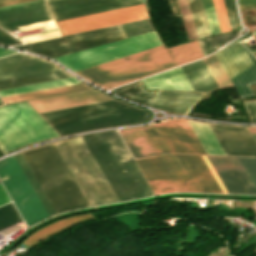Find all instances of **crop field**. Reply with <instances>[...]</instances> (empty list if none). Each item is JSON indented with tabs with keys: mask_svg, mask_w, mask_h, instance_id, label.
Wrapping results in <instances>:
<instances>
[{
	"mask_svg": "<svg viewBox=\"0 0 256 256\" xmlns=\"http://www.w3.org/2000/svg\"><path fill=\"white\" fill-rule=\"evenodd\" d=\"M201 57L197 41L167 49L161 45L76 73L111 88Z\"/></svg>",
	"mask_w": 256,
	"mask_h": 256,
	"instance_id": "obj_1",
	"label": "crop field"
},
{
	"mask_svg": "<svg viewBox=\"0 0 256 256\" xmlns=\"http://www.w3.org/2000/svg\"><path fill=\"white\" fill-rule=\"evenodd\" d=\"M112 100L111 98L93 90H84L28 101L38 112L85 105L95 102ZM140 110L128 104L112 100L58 111L41 113L40 115L51 125H60L118 113Z\"/></svg>",
	"mask_w": 256,
	"mask_h": 256,
	"instance_id": "obj_2",
	"label": "crop field"
},
{
	"mask_svg": "<svg viewBox=\"0 0 256 256\" xmlns=\"http://www.w3.org/2000/svg\"><path fill=\"white\" fill-rule=\"evenodd\" d=\"M54 146L89 206L118 201L81 137Z\"/></svg>",
	"mask_w": 256,
	"mask_h": 256,
	"instance_id": "obj_3",
	"label": "crop field"
},
{
	"mask_svg": "<svg viewBox=\"0 0 256 256\" xmlns=\"http://www.w3.org/2000/svg\"><path fill=\"white\" fill-rule=\"evenodd\" d=\"M57 136L27 103L0 109V149L4 153Z\"/></svg>",
	"mask_w": 256,
	"mask_h": 256,
	"instance_id": "obj_4",
	"label": "crop field"
},
{
	"mask_svg": "<svg viewBox=\"0 0 256 256\" xmlns=\"http://www.w3.org/2000/svg\"><path fill=\"white\" fill-rule=\"evenodd\" d=\"M158 45L161 42L153 31L53 59L76 72Z\"/></svg>",
	"mask_w": 256,
	"mask_h": 256,
	"instance_id": "obj_5",
	"label": "crop field"
},
{
	"mask_svg": "<svg viewBox=\"0 0 256 256\" xmlns=\"http://www.w3.org/2000/svg\"><path fill=\"white\" fill-rule=\"evenodd\" d=\"M132 199L153 195L150 185L117 131L95 134Z\"/></svg>",
	"mask_w": 256,
	"mask_h": 256,
	"instance_id": "obj_6",
	"label": "crop field"
},
{
	"mask_svg": "<svg viewBox=\"0 0 256 256\" xmlns=\"http://www.w3.org/2000/svg\"><path fill=\"white\" fill-rule=\"evenodd\" d=\"M0 179L27 226L49 217L13 156L0 160Z\"/></svg>",
	"mask_w": 256,
	"mask_h": 256,
	"instance_id": "obj_7",
	"label": "crop field"
},
{
	"mask_svg": "<svg viewBox=\"0 0 256 256\" xmlns=\"http://www.w3.org/2000/svg\"><path fill=\"white\" fill-rule=\"evenodd\" d=\"M126 38L120 25L15 46L51 58Z\"/></svg>",
	"mask_w": 256,
	"mask_h": 256,
	"instance_id": "obj_8",
	"label": "crop field"
},
{
	"mask_svg": "<svg viewBox=\"0 0 256 256\" xmlns=\"http://www.w3.org/2000/svg\"><path fill=\"white\" fill-rule=\"evenodd\" d=\"M207 158L228 193L256 194V157Z\"/></svg>",
	"mask_w": 256,
	"mask_h": 256,
	"instance_id": "obj_9",
	"label": "crop field"
},
{
	"mask_svg": "<svg viewBox=\"0 0 256 256\" xmlns=\"http://www.w3.org/2000/svg\"><path fill=\"white\" fill-rule=\"evenodd\" d=\"M241 98L254 96L249 85L256 84V60L237 42L214 53Z\"/></svg>",
	"mask_w": 256,
	"mask_h": 256,
	"instance_id": "obj_10",
	"label": "crop field"
},
{
	"mask_svg": "<svg viewBox=\"0 0 256 256\" xmlns=\"http://www.w3.org/2000/svg\"><path fill=\"white\" fill-rule=\"evenodd\" d=\"M147 18L144 4L58 21L61 35Z\"/></svg>",
	"mask_w": 256,
	"mask_h": 256,
	"instance_id": "obj_11",
	"label": "crop field"
},
{
	"mask_svg": "<svg viewBox=\"0 0 256 256\" xmlns=\"http://www.w3.org/2000/svg\"><path fill=\"white\" fill-rule=\"evenodd\" d=\"M41 0H35L15 5H10L6 7H1V9L12 8L24 4H29ZM52 19L50 13L44 3V1L24 5L12 9L0 11V27L9 31L13 29L20 28V26L32 24L36 22L46 21ZM44 26L45 30L55 28L53 20L41 22L37 24L27 25L21 27L22 30H30L38 27Z\"/></svg>",
	"mask_w": 256,
	"mask_h": 256,
	"instance_id": "obj_12",
	"label": "crop field"
},
{
	"mask_svg": "<svg viewBox=\"0 0 256 256\" xmlns=\"http://www.w3.org/2000/svg\"><path fill=\"white\" fill-rule=\"evenodd\" d=\"M177 191L210 192L190 155L158 156Z\"/></svg>",
	"mask_w": 256,
	"mask_h": 256,
	"instance_id": "obj_13",
	"label": "crop field"
},
{
	"mask_svg": "<svg viewBox=\"0 0 256 256\" xmlns=\"http://www.w3.org/2000/svg\"><path fill=\"white\" fill-rule=\"evenodd\" d=\"M155 127L170 153L206 154L186 120L173 119Z\"/></svg>",
	"mask_w": 256,
	"mask_h": 256,
	"instance_id": "obj_14",
	"label": "crop field"
},
{
	"mask_svg": "<svg viewBox=\"0 0 256 256\" xmlns=\"http://www.w3.org/2000/svg\"><path fill=\"white\" fill-rule=\"evenodd\" d=\"M141 3L142 0H59L47 4L58 21Z\"/></svg>",
	"mask_w": 256,
	"mask_h": 256,
	"instance_id": "obj_15",
	"label": "crop field"
},
{
	"mask_svg": "<svg viewBox=\"0 0 256 256\" xmlns=\"http://www.w3.org/2000/svg\"><path fill=\"white\" fill-rule=\"evenodd\" d=\"M74 83H80V81L74 77H71V78L48 81V82L26 85V86H21V87L9 88V89L0 90V97L14 95V94H20V93H25V92H31V91L41 90V89H47V88H52V87H58V86H63V85H69V84H74ZM88 88H90V87L83 83H80V84L52 88V89H47V90H42V91L14 95V96H9V97H3V100H4V103H9V102L21 101V100L32 99V98H37V97L60 94V93H65V92L88 89Z\"/></svg>",
	"mask_w": 256,
	"mask_h": 256,
	"instance_id": "obj_16",
	"label": "crop field"
},
{
	"mask_svg": "<svg viewBox=\"0 0 256 256\" xmlns=\"http://www.w3.org/2000/svg\"><path fill=\"white\" fill-rule=\"evenodd\" d=\"M119 131L136 158L169 153L153 125Z\"/></svg>",
	"mask_w": 256,
	"mask_h": 256,
	"instance_id": "obj_17",
	"label": "crop field"
},
{
	"mask_svg": "<svg viewBox=\"0 0 256 256\" xmlns=\"http://www.w3.org/2000/svg\"><path fill=\"white\" fill-rule=\"evenodd\" d=\"M53 64L46 60L23 54L5 57L0 59V80L61 70V68Z\"/></svg>",
	"mask_w": 256,
	"mask_h": 256,
	"instance_id": "obj_18",
	"label": "crop field"
},
{
	"mask_svg": "<svg viewBox=\"0 0 256 256\" xmlns=\"http://www.w3.org/2000/svg\"><path fill=\"white\" fill-rule=\"evenodd\" d=\"M203 94L158 90L150 106L163 111L187 114Z\"/></svg>",
	"mask_w": 256,
	"mask_h": 256,
	"instance_id": "obj_19",
	"label": "crop field"
},
{
	"mask_svg": "<svg viewBox=\"0 0 256 256\" xmlns=\"http://www.w3.org/2000/svg\"><path fill=\"white\" fill-rule=\"evenodd\" d=\"M137 164L154 190L155 194L176 191L157 156L137 159ZM152 190V191H153Z\"/></svg>",
	"mask_w": 256,
	"mask_h": 256,
	"instance_id": "obj_20",
	"label": "crop field"
},
{
	"mask_svg": "<svg viewBox=\"0 0 256 256\" xmlns=\"http://www.w3.org/2000/svg\"><path fill=\"white\" fill-rule=\"evenodd\" d=\"M181 69L194 91L213 92L219 89L203 60L181 66Z\"/></svg>",
	"mask_w": 256,
	"mask_h": 256,
	"instance_id": "obj_21",
	"label": "crop field"
},
{
	"mask_svg": "<svg viewBox=\"0 0 256 256\" xmlns=\"http://www.w3.org/2000/svg\"><path fill=\"white\" fill-rule=\"evenodd\" d=\"M145 87L193 91L180 67L142 80Z\"/></svg>",
	"mask_w": 256,
	"mask_h": 256,
	"instance_id": "obj_22",
	"label": "crop field"
},
{
	"mask_svg": "<svg viewBox=\"0 0 256 256\" xmlns=\"http://www.w3.org/2000/svg\"><path fill=\"white\" fill-rule=\"evenodd\" d=\"M88 218H93V216H91L90 214H83V215H79V216H75V217L57 221L55 223H52V224L40 229L39 231H37L36 233H34L30 237H28L26 240H24L23 243L31 246L35 243H38V242L52 236L54 233L66 228L68 226H71L81 220H85Z\"/></svg>",
	"mask_w": 256,
	"mask_h": 256,
	"instance_id": "obj_23",
	"label": "crop field"
},
{
	"mask_svg": "<svg viewBox=\"0 0 256 256\" xmlns=\"http://www.w3.org/2000/svg\"><path fill=\"white\" fill-rule=\"evenodd\" d=\"M189 122V121H188ZM207 154L225 155L208 125L189 122Z\"/></svg>",
	"mask_w": 256,
	"mask_h": 256,
	"instance_id": "obj_24",
	"label": "crop field"
},
{
	"mask_svg": "<svg viewBox=\"0 0 256 256\" xmlns=\"http://www.w3.org/2000/svg\"><path fill=\"white\" fill-rule=\"evenodd\" d=\"M71 77L64 70L0 81V89Z\"/></svg>",
	"mask_w": 256,
	"mask_h": 256,
	"instance_id": "obj_25",
	"label": "crop field"
},
{
	"mask_svg": "<svg viewBox=\"0 0 256 256\" xmlns=\"http://www.w3.org/2000/svg\"><path fill=\"white\" fill-rule=\"evenodd\" d=\"M141 81L129 84L127 86L118 88L113 90L114 93L121 95L131 101L141 103L144 105H149L154 92L151 91H143L140 86Z\"/></svg>",
	"mask_w": 256,
	"mask_h": 256,
	"instance_id": "obj_26",
	"label": "crop field"
},
{
	"mask_svg": "<svg viewBox=\"0 0 256 256\" xmlns=\"http://www.w3.org/2000/svg\"><path fill=\"white\" fill-rule=\"evenodd\" d=\"M188 4L198 37L201 38L211 35L201 0H188Z\"/></svg>",
	"mask_w": 256,
	"mask_h": 256,
	"instance_id": "obj_27",
	"label": "crop field"
},
{
	"mask_svg": "<svg viewBox=\"0 0 256 256\" xmlns=\"http://www.w3.org/2000/svg\"><path fill=\"white\" fill-rule=\"evenodd\" d=\"M14 158L17 161V163L20 166L23 173L25 174L26 178L28 179L29 183L31 184L32 188L34 189L35 193L37 194L38 198L42 202V204L45 207L46 211L48 212L49 216L55 215L54 210L52 209L51 205L49 204V202L46 199L45 195L43 194L42 190L40 189L38 183L36 182L35 178L33 177L32 173L30 172L29 168L27 167L26 163L24 162L23 158L21 157L20 153L14 155Z\"/></svg>",
	"mask_w": 256,
	"mask_h": 256,
	"instance_id": "obj_28",
	"label": "crop field"
},
{
	"mask_svg": "<svg viewBox=\"0 0 256 256\" xmlns=\"http://www.w3.org/2000/svg\"><path fill=\"white\" fill-rule=\"evenodd\" d=\"M203 60H204L205 64L207 65V67L209 68L212 75L214 76L215 80L219 84L220 88L232 86L231 82L229 81L225 72L221 68V66L218 63L217 59L215 58L214 54L206 57Z\"/></svg>",
	"mask_w": 256,
	"mask_h": 256,
	"instance_id": "obj_29",
	"label": "crop field"
},
{
	"mask_svg": "<svg viewBox=\"0 0 256 256\" xmlns=\"http://www.w3.org/2000/svg\"><path fill=\"white\" fill-rule=\"evenodd\" d=\"M191 157L195 162L196 166L198 167L207 185L209 186L211 192L222 193L215 179L213 178L204 161L202 160L201 156L191 155Z\"/></svg>",
	"mask_w": 256,
	"mask_h": 256,
	"instance_id": "obj_30",
	"label": "crop field"
},
{
	"mask_svg": "<svg viewBox=\"0 0 256 256\" xmlns=\"http://www.w3.org/2000/svg\"><path fill=\"white\" fill-rule=\"evenodd\" d=\"M178 1L183 14V19L188 32L189 39L192 40V39L198 38L194 24H193V20L190 14V10L187 4V0H178Z\"/></svg>",
	"mask_w": 256,
	"mask_h": 256,
	"instance_id": "obj_31",
	"label": "crop field"
},
{
	"mask_svg": "<svg viewBox=\"0 0 256 256\" xmlns=\"http://www.w3.org/2000/svg\"><path fill=\"white\" fill-rule=\"evenodd\" d=\"M211 34L221 33L212 0H202Z\"/></svg>",
	"mask_w": 256,
	"mask_h": 256,
	"instance_id": "obj_32",
	"label": "crop field"
},
{
	"mask_svg": "<svg viewBox=\"0 0 256 256\" xmlns=\"http://www.w3.org/2000/svg\"><path fill=\"white\" fill-rule=\"evenodd\" d=\"M213 2L219 20L221 32L224 33L230 31L222 0H213Z\"/></svg>",
	"mask_w": 256,
	"mask_h": 256,
	"instance_id": "obj_33",
	"label": "crop field"
},
{
	"mask_svg": "<svg viewBox=\"0 0 256 256\" xmlns=\"http://www.w3.org/2000/svg\"><path fill=\"white\" fill-rule=\"evenodd\" d=\"M57 36H59V33H58V30L55 29V30H51V31L43 32V33L21 36L18 38H20L24 42L29 43V42L44 40V39L53 38V37H57Z\"/></svg>",
	"mask_w": 256,
	"mask_h": 256,
	"instance_id": "obj_34",
	"label": "crop field"
},
{
	"mask_svg": "<svg viewBox=\"0 0 256 256\" xmlns=\"http://www.w3.org/2000/svg\"><path fill=\"white\" fill-rule=\"evenodd\" d=\"M224 4L228 15L230 27L232 28L240 23L235 7V2L234 0H224Z\"/></svg>",
	"mask_w": 256,
	"mask_h": 256,
	"instance_id": "obj_35",
	"label": "crop field"
},
{
	"mask_svg": "<svg viewBox=\"0 0 256 256\" xmlns=\"http://www.w3.org/2000/svg\"><path fill=\"white\" fill-rule=\"evenodd\" d=\"M20 43H22V42H20L16 38L12 37L5 31L0 29V44L6 45V46H12V45L20 44Z\"/></svg>",
	"mask_w": 256,
	"mask_h": 256,
	"instance_id": "obj_36",
	"label": "crop field"
},
{
	"mask_svg": "<svg viewBox=\"0 0 256 256\" xmlns=\"http://www.w3.org/2000/svg\"><path fill=\"white\" fill-rule=\"evenodd\" d=\"M251 122H256V101L244 103Z\"/></svg>",
	"mask_w": 256,
	"mask_h": 256,
	"instance_id": "obj_37",
	"label": "crop field"
},
{
	"mask_svg": "<svg viewBox=\"0 0 256 256\" xmlns=\"http://www.w3.org/2000/svg\"><path fill=\"white\" fill-rule=\"evenodd\" d=\"M203 160L205 161L206 165L208 166L209 170L213 174L214 178L216 179L217 183L219 184L220 188L222 189L223 193H227L226 189L224 188L223 184L221 183L220 179L216 175L215 171L213 170L212 166L210 165L209 161L207 160L206 156H202Z\"/></svg>",
	"mask_w": 256,
	"mask_h": 256,
	"instance_id": "obj_38",
	"label": "crop field"
},
{
	"mask_svg": "<svg viewBox=\"0 0 256 256\" xmlns=\"http://www.w3.org/2000/svg\"><path fill=\"white\" fill-rule=\"evenodd\" d=\"M175 16L181 15L177 0H168Z\"/></svg>",
	"mask_w": 256,
	"mask_h": 256,
	"instance_id": "obj_39",
	"label": "crop field"
},
{
	"mask_svg": "<svg viewBox=\"0 0 256 256\" xmlns=\"http://www.w3.org/2000/svg\"><path fill=\"white\" fill-rule=\"evenodd\" d=\"M9 198L0 183V205L9 202Z\"/></svg>",
	"mask_w": 256,
	"mask_h": 256,
	"instance_id": "obj_40",
	"label": "crop field"
},
{
	"mask_svg": "<svg viewBox=\"0 0 256 256\" xmlns=\"http://www.w3.org/2000/svg\"><path fill=\"white\" fill-rule=\"evenodd\" d=\"M13 53H16V52L0 48V57L6 56V55H9V54H13Z\"/></svg>",
	"mask_w": 256,
	"mask_h": 256,
	"instance_id": "obj_41",
	"label": "crop field"
},
{
	"mask_svg": "<svg viewBox=\"0 0 256 256\" xmlns=\"http://www.w3.org/2000/svg\"><path fill=\"white\" fill-rule=\"evenodd\" d=\"M248 129L256 141V127H248Z\"/></svg>",
	"mask_w": 256,
	"mask_h": 256,
	"instance_id": "obj_42",
	"label": "crop field"
},
{
	"mask_svg": "<svg viewBox=\"0 0 256 256\" xmlns=\"http://www.w3.org/2000/svg\"><path fill=\"white\" fill-rule=\"evenodd\" d=\"M25 1H30V0H20V1H15V2H10V3L0 4V7H1V6H6V5H10V4L20 3V2H25Z\"/></svg>",
	"mask_w": 256,
	"mask_h": 256,
	"instance_id": "obj_43",
	"label": "crop field"
},
{
	"mask_svg": "<svg viewBox=\"0 0 256 256\" xmlns=\"http://www.w3.org/2000/svg\"><path fill=\"white\" fill-rule=\"evenodd\" d=\"M10 1H15V0H0V3H5V2H10Z\"/></svg>",
	"mask_w": 256,
	"mask_h": 256,
	"instance_id": "obj_44",
	"label": "crop field"
},
{
	"mask_svg": "<svg viewBox=\"0 0 256 256\" xmlns=\"http://www.w3.org/2000/svg\"><path fill=\"white\" fill-rule=\"evenodd\" d=\"M47 2H49V1H54V0H46Z\"/></svg>",
	"mask_w": 256,
	"mask_h": 256,
	"instance_id": "obj_45",
	"label": "crop field"
},
{
	"mask_svg": "<svg viewBox=\"0 0 256 256\" xmlns=\"http://www.w3.org/2000/svg\"><path fill=\"white\" fill-rule=\"evenodd\" d=\"M3 103L1 102V100H0V105H2Z\"/></svg>",
	"mask_w": 256,
	"mask_h": 256,
	"instance_id": "obj_46",
	"label": "crop field"
}]
</instances>
